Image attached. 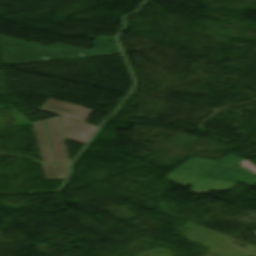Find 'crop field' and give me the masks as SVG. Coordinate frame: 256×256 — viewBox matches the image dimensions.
Returning <instances> with one entry per match:
<instances>
[{
    "instance_id": "f4fd0767",
    "label": "crop field",
    "mask_w": 256,
    "mask_h": 256,
    "mask_svg": "<svg viewBox=\"0 0 256 256\" xmlns=\"http://www.w3.org/2000/svg\"><path fill=\"white\" fill-rule=\"evenodd\" d=\"M90 38L96 39L93 44H96L91 50L78 48L70 45H65L61 43H56L52 45V47L93 56V55H101V54H109V53H119V47L115 43H110L106 41H115V36H90Z\"/></svg>"
},
{
    "instance_id": "3316defc",
    "label": "crop field",
    "mask_w": 256,
    "mask_h": 256,
    "mask_svg": "<svg viewBox=\"0 0 256 256\" xmlns=\"http://www.w3.org/2000/svg\"><path fill=\"white\" fill-rule=\"evenodd\" d=\"M240 164H241V167L246 168L249 171L256 174V167L254 165H252L248 160H246V162L241 161Z\"/></svg>"
},
{
    "instance_id": "ac0d7876",
    "label": "crop field",
    "mask_w": 256,
    "mask_h": 256,
    "mask_svg": "<svg viewBox=\"0 0 256 256\" xmlns=\"http://www.w3.org/2000/svg\"><path fill=\"white\" fill-rule=\"evenodd\" d=\"M0 48L4 65L86 57L84 55L2 36H0Z\"/></svg>"
},
{
    "instance_id": "5a996713",
    "label": "crop field",
    "mask_w": 256,
    "mask_h": 256,
    "mask_svg": "<svg viewBox=\"0 0 256 256\" xmlns=\"http://www.w3.org/2000/svg\"><path fill=\"white\" fill-rule=\"evenodd\" d=\"M57 166V170H58V174H59V178H65L67 175V166L66 165H56Z\"/></svg>"
},
{
    "instance_id": "d8731c3e",
    "label": "crop field",
    "mask_w": 256,
    "mask_h": 256,
    "mask_svg": "<svg viewBox=\"0 0 256 256\" xmlns=\"http://www.w3.org/2000/svg\"><path fill=\"white\" fill-rule=\"evenodd\" d=\"M45 178L47 179H59L55 164L46 165L42 164Z\"/></svg>"
},
{
    "instance_id": "412701ff",
    "label": "crop field",
    "mask_w": 256,
    "mask_h": 256,
    "mask_svg": "<svg viewBox=\"0 0 256 256\" xmlns=\"http://www.w3.org/2000/svg\"><path fill=\"white\" fill-rule=\"evenodd\" d=\"M166 178L174 180L184 186L191 185V192L201 193L210 190H230L237 182L219 180L213 178L192 176L180 173L171 172Z\"/></svg>"
},
{
    "instance_id": "dd49c442",
    "label": "crop field",
    "mask_w": 256,
    "mask_h": 256,
    "mask_svg": "<svg viewBox=\"0 0 256 256\" xmlns=\"http://www.w3.org/2000/svg\"><path fill=\"white\" fill-rule=\"evenodd\" d=\"M56 162H70L60 117L46 120Z\"/></svg>"
},
{
    "instance_id": "34b2d1b8",
    "label": "crop field",
    "mask_w": 256,
    "mask_h": 256,
    "mask_svg": "<svg viewBox=\"0 0 256 256\" xmlns=\"http://www.w3.org/2000/svg\"><path fill=\"white\" fill-rule=\"evenodd\" d=\"M52 114L83 121V123L61 118L67 140L85 144L97 126L84 123L93 110L48 98L39 109Z\"/></svg>"
},
{
    "instance_id": "e52e79f7",
    "label": "crop field",
    "mask_w": 256,
    "mask_h": 256,
    "mask_svg": "<svg viewBox=\"0 0 256 256\" xmlns=\"http://www.w3.org/2000/svg\"><path fill=\"white\" fill-rule=\"evenodd\" d=\"M33 124L43 162H55L45 120Z\"/></svg>"
},
{
    "instance_id": "8a807250",
    "label": "crop field",
    "mask_w": 256,
    "mask_h": 256,
    "mask_svg": "<svg viewBox=\"0 0 256 256\" xmlns=\"http://www.w3.org/2000/svg\"><path fill=\"white\" fill-rule=\"evenodd\" d=\"M243 159L244 158L235 157L230 154L225 156L219 162L206 159L191 158L174 171L232 180L251 186L256 183V175L245 169L235 166Z\"/></svg>"
}]
</instances>
